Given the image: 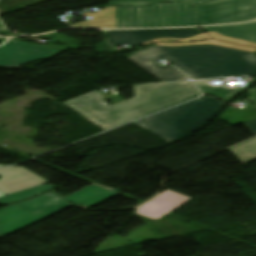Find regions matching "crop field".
I'll list each match as a JSON object with an SVG mask.
<instances>
[{
    "label": "crop field",
    "instance_id": "17",
    "mask_svg": "<svg viewBox=\"0 0 256 256\" xmlns=\"http://www.w3.org/2000/svg\"><path fill=\"white\" fill-rule=\"evenodd\" d=\"M55 188V186H50V185H42L39 187H35L26 191H22L16 194H12L9 196H4L0 198V203L3 205L13 203L16 201L24 200L30 197H33L41 192L47 191L49 189Z\"/></svg>",
    "mask_w": 256,
    "mask_h": 256
},
{
    "label": "crop field",
    "instance_id": "25",
    "mask_svg": "<svg viewBox=\"0 0 256 256\" xmlns=\"http://www.w3.org/2000/svg\"><path fill=\"white\" fill-rule=\"evenodd\" d=\"M165 2H172V1H176V0H164Z\"/></svg>",
    "mask_w": 256,
    "mask_h": 256
},
{
    "label": "crop field",
    "instance_id": "21",
    "mask_svg": "<svg viewBox=\"0 0 256 256\" xmlns=\"http://www.w3.org/2000/svg\"><path fill=\"white\" fill-rule=\"evenodd\" d=\"M247 92L251 95L248 99L256 105V88L247 90Z\"/></svg>",
    "mask_w": 256,
    "mask_h": 256
},
{
    "label": "crop field",
    "instance_id": "11",
    "mask_svg": "<svg viewBox=\"0 0 256 256\" xmlns=\"http://www.w3.org/2000/svg\"><path fill=\"white\" fill-rule=\"evenodd\" d=\"M191 199L166 189L163 193L138 208L137 213L158 220Z\"/></svg>",
    "mask_w": 256,
    "mask_h": 256
},
{
    "label": "crop field",
    "instance_id": "18",
    "mask_svg": "<svg viewBox=\"0 0 256 256\" xmlns=\"http://www.w3.org/2000/svg\"><path fill=\"white\" fill-rule=\"evenodd\" d=\"M191 44H214V45H220V46H225L230 48L256 52V48L233 45V44H229V43L217 41V40H208V41L199 42V43H156V45H164V46H183V45H191Z\"/></svg>",
    "mask_w": 256,
    "mask_h": 256
},
{
    "label": "crop field",
    "instance_id": "23",
    "mask_svg": "<svg viewBox=\"0 0 256 256\" xmlns=\"http://www.w3.org/2000/svg\"><path fill=\"white\" fill-rule=\"evenodd\" d=\"M246 125L254 132V134L256 135V120L246 123Z\"/></svg>",
    "mask_w": 256,
    "mask_h": 256
},
{
    "label": "crop field",
    "instance_id": "8",
    "mask_svg": "<svg viewBox=\"0 0 256 256\" xmlns=\"http://www.w3.org/2000/svg\"><path fill=\"white\" fill-rule=\"evenodd\" d=\"M112 45L140 44L160 37L188 38L201 34L198 28L103 31Z\"/></svg>",
    "mask_w": 256,
    "mask_h": 256
},
{
    "label": "crop field",
    "instance_id": "15",
    "mask_svg": "<svg viewBox=\"0 0 256 256\" xmlns=\"http://www.w3.org/2000/svg\"><path fill=\"white\" fill-rule=\"evenodd\" d=\"M210 37L218 39V40L230 42V43H233V44H239V45L256 47V43L248 42V41H244V40H239V39H233V38L224 37V36L219 35V34H217L215 32H210V33H207V34L197 35L195 37L188 38V39L161 38V39L153 40V41H150V42H147V43H143V45L147 46V45H149V43H152V42L200 41V40L210 39Z\"/></svg>",
    "mask_w": 256,
    "mask_h": 256
},
{
    "label": "crop field",
    "instance_id": "2",
    "mask_svg": "<svg viewBox=\"0 0 256 256\" xmlns=\"http://www.w3.org/2000/svg\"><path fill=\"white\" fill-rule=\"evenodd\" d=\"M93 19L72 24L75 28L174 27L197 25L190 0L145 7H108L85 13Z\"/></svg>",
    "mask_w": 256,
    "mask_h": 256
},
{
    "label": "crop field",
    "instance_id": "27",
    "mask_svg": "<svg viewBox=\"0 0 256 256\" xmlns=\"http://www.w3.org/2000/svg\"><path fill=\"white\" fill-rule=\"evenodd\" d=\"M0 167H3V166H0Z\"/></svg>",
    "mask_w": 256,
    "mask_h": 256
},
{
    "label": "crop field",
    "instance_id": "7",
    "mask_svg": "<svg viewBox=\"0 0 256 256\" xmlns=\"http://www.w3.org/2000/svg\"><path fill=\"white\" fill-rule=\"evenodd\" d=\"M126 58L132 60L134 63L142 67L144 70H146L162 82L181 81L188 79V77H186L176 68L172 66L161 67L154 62L163 58L177 66L179 69L184 71L193 79H202V77H200L194 71L189 69L183 63H181L154 44L149 46L147 49L133 53Z\"/></svg>",
    "mask_w": 256,
    "mask_h": 256
},
{
    "label": "crop field",
    "instance_id": "6",
    "mask_svg": "<svg viewBox=\"0 0 256 256\" xmlns=\"http://www.w3.org/2000/svg\"><path fill=\"white\" fill-rule=\"evenodd\" d=\"M198 25L256 20V0H224L195 7Z\"/></svg>",
    "mask_w": 256,
    "mask_h": 256
},
{
    "label": "crop field",
    "instance_id": "13",
    "mask_svg": "<svg viewBox=\"0 0 256 256\" xmlns=\"http://www.w3.org/2000/svg\"><path fill=\"white\" fill-rule=\"evenodd\" d=\"M202 29L205 32L215 31L224 36L256 42V23L238 26H217Z\"/></svg>",
    "mask_w": 256,
    "mask_h": 256
},
{
    "label": "crop field",
    "instance_id": "20",
    "mask_svg": "<svg viewBox=\"0 0 256 256\" xmlns=\"http://www.w3.org/2000/svg\"><path fill=\"white\" fill-rule=\"evenodd\" d=\"M102 44L103 46L97 48L98 52H109L113 50L112 46H110L106 40Z\"/></svg>",
    "mask_w": 256,
    "mask_h": 256
},
{
    "label": "crop field",
    "instance_id": "14",
    "mask_svg": "<svg viewBox=\"0 0 256 256\" xmlns=\"http://www.w3.org/2000/svg\"><path fill=\"white\" fill-rule=\"evenodd\" d=\"M203 93L215 96L225 102H229L235 95L239 94L246 88H234L231 89L226 85L214 86L211 84V80L197 81L196 82Z\"/></svg>",
    "mask_w": 256,
    "mask_h": 256
},
{
    "label": "crop field",
    "instance_id": "3",
    "mask_svg": "<svg viewBox=\"0 0 256 256\" xmlns=\"http://www.w3.org/2000/svg\"><path fill=\"white\" fill-rule=\"evenodd\" d=\"M204 78L256 74V55L214 45L159 46Z\"/></svg>",
    "mask_w": 256,
    "mask_h": 256
},
{
    "label": "crop field",
    "instance_id": "10",
    "mask_svg": "<svg viewBox=\"0 0 256 256\" xmlns=\"http://www.w3.org/2000/svg\"><path fill=\"white\" fill-rule=\"evenodd\" d=\"M0 191L9 195L48 183L23 167L0 169Z\"/></svg>",
    "mask_w": 256,
    "mask_h": 256
},
{
    "label": "crop field",
    "instance_id": "12",
    "mask_svg": "<svg viewBox=\"0 0 256 256\" xmlns=\"http://www.w3.org/2000/svg\"><path fill=\"white\" fill-rule=\"evenodd\" d=\"M118 194H120V193L117 191H114V190L106 188V187H102L98 184H93V185H91L81 191H78L74 194H71L65 198L76 205H79V204L85 205L82 208L86 209V208L93 206L109 197H112V196H115Z\"/></svg>",
    "mask_w": 256,
    "mask_h": 256
},
{
    "label": "crop field",
    "instance_id": "26",
    "mask_svg": "<svg viewBox=\"0 0 256 256\" xmlns=\"http://www.w3.org/2000/svg\"><path fill=\"white\" fill-rule=\"evenodd\" d=\"M4 194L2 192H0V196H3Z\"/></svg>",
    "mask_w": 256,
    "mask_h": 256
},
{
    "label": "crop field",
    "instance_id": "24",
    "mask_svg": "<svg viewBox=\"0 0 256 256\" xmlns=\"http://www.w3.org/2000/svg\"><path fill=\"white\" fill-rule=\"evenodd\" d=\"M5 41H6V39H0V44L5 42Z\"/></svg>",
    "mask_w": 256,
    "mask_h": 256
},
{
    "label": "crop field",
    "instance_id": "22",
    "mask_svg": "<svg viewBox=\"0 0 256 256\" xmlns=\"http://www.w3.org/2000/svg\"><path fill=\"white\" fill-rule=\"evenodd\" d=\"M194 6L201 5V4H206V3H211L219 0H191Z\"/></svg>",
    "mask_w": 256,
    "mask_h": 256
},
{
    "label": "crop field",
    "instance_id": "19",
    "mask_svg": "<svg viewBox=\"0 0 256 256\" xmlns=\"http://www.w3.org/2000/svg\"><path fill=\"white\" fill-rule=\"evenodd\" d=\"M163 0H110V6H144L162 3Z\"/></svg>",
    "mask_w": 256,
    "mask_h": 256
},
{
    "label": "crop field",
    "instance_id": "5",
    "mask_svg": "<svg viewBox=\"0 0 256 256\" xmlns=\"http://www.w3.org/2000/svg\"><path fill=\"white\" fill-rule=\"evenodd\" d=\"M73 205L50 191L0 210V237Z\"/></svg>",
    "mask_w": 256,
    "mask_h": 256
},
{
    "label": "crop field",
    "instance_id": "1",
    "mask_svg": "<svg viewBox=\"0 0 256 256\" xmlns=\"http://www.w3.org/2000/svg\"><path fill=\"white\" fill-rule=\"evenodd\" d=\"M135 98L108 107L99 91L62 103L103 130L200 95L192 82L133 86Z\"/></svg>",
    "mask_w": 256,
    "mask_h": 256
},
{
    "label": "crop field",
    "instance_id": "4",
    "mask_svg": "<svg viewBox=\"0 0 256 256\" xmlns=\"http://www.w3.org/2000/svg\"><path fill=\"white\" fill-rule=\"evenodd\" d=\"M226 105L203 96L134 123L171 144L205 127Z\"/></svg>",
    "mask_w": 256,
    "mask_h": 256
},
{
    "label": "crop field",
    "instance_id": "28",
    "mask_svg": "<svg viewBox=\"0 0 256 256\" xmlns=\"http://www.w3.org/2000/svg\"><path fill=\"white\" fill-rule=\"evenodd\" d=\"M1 2V1H0Z\"/></svg>",
    "mask_w": 256,
    "mask_h": 256
},
{
    "label": "crop field",
    "instance_id": "16",
    "mask_svg": "<svg viewBox=\"0 0 256 256\" xmlns=\"http://www.w3.org/2000/svg\"><path fill=\"white\" fill-rule=\"evenodd\" d=\"M230 151L244 164L256 160V138L243 143Z\"/></svg>",
    "mask_w": 256,
    "mask_h": 256
},
{
    "label": "crop field",
    "instance_id": "9",
    "mask_svg": "<svg viewBox=\"0 0 256 256\" xmlns=\"http://www.w3.org/2000/svg\"><path fill=\"white\" fill-rule=\"evenodd\" d=\"M61 53L44 47L9 40L0 47V66L19 67L25 62L49 58Z\"/></svg>",
    "mask_w": 256,
    "mask_h": 256
}]
</instances>
